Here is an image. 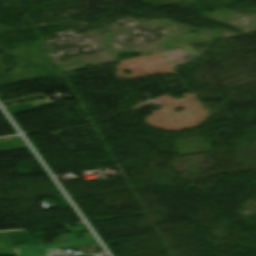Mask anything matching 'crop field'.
Here are the masks:
<instances>
[{
	"label": "crop field",
	"instance_id": "obj_1",
	"mask_svg": "<svg viewBox=\"0 0 256 256\" xmlns=\"http://www.w3.org/2000/svg\"><path fill=\"white\" fill-rule=\"evenodd\" d=\"M86 238L77 239L75 234H67L68 241L54 243L49 245H40V246H30V247H20L16 249L17 256H45V249H54V248H66L72 246H83L91 243H95L92 237L85 233Z\"/></svg>",
	"mask_w": 256,
	"mask_h": 256
}]
</instances>
